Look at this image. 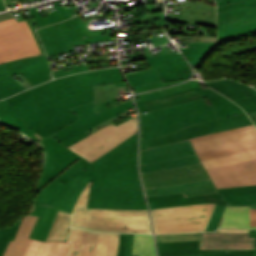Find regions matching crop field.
<instances>
[{
	"mask_svg": "<svg viewBox=\"0 0 256 256\" xmlns=\"http://www.w3.org/2000/svg\"><path fill=\"white\" fill-rule=\"evenodd\" d=\"M137 133L93 163L77 160L34 199L29 214L39 216L30 238L45 241L58 209L72 213L88 184L113 189H141L136 165Z\"/></svg>",
	"mask_w": 256,
	"mask_h": 256,
	"instance_id": "crop-field-1",
	"label": "crop field"
},
{
	"mask_svg": "<svg viewBox=\"0 0 256 256\" xmlns=\"http://www.w3.org/2000/svg\"><path fill=\"white\" fill-rule=\"evenodd\" d=\"M125 81L119 68L57 78L6 99L24 123L41 137L79 119L70 108L93 100L92 85Z\"/></svg>",
	"mask_w": 256,
	"mask_h": 256,
	"instance_id": "crop-field-2",
	"label": "crop field"
},
{
	"mask_svg": "<svg viewBox=\"0 0 256 256\" xmlns=\"http://www.w3.org/2000/svg\"><path fill=\"white\" fill-rule=\"evenodd\" d=\"M92 182L77 200L72 215L58 211L46 240H65L69 226L91 231L152 234L147 210L86 209Z\"/></svg>",
	"mask_w": 256,
	"mask_h": 256,
	"instance_id": "crop-field-3",
	"label": "crop field"
},
{
	"mask_svg": "<svg viewBox=\"0 0 256 256\" xmlns=\"http://www.w3.org/2000/svg\"><path fill=\"white\" fill-rule=\"evenodd\" d=\"M205 169L256 158L254 125L190 139Z\"/></svg>",
	"mask_w": 256,
	"mask_h": 256,
	"instance_id": "crop-field-4",
	"label": "crop field"
},
{
	"mask_svg": "<svg viewBox=\"0 0 256 256\" xmlns=\"http://www.w3.org/2000/svg\"><path fill=\"white\" fill-rule=\"evenodd\" d=\"M211 106L201 100L140 114L144 140L157 138L185 126L216 119Z\"/></svg>",
	"mask_w": 256,
	"mask_h": 256,
	"instance_id": "crop-field-5",
	"label": "crop field"
},
{
	"mask_svg": "<svg viewBox=\"0 0 256 256\" xmlns=\"http://www.w3.org/2000/svg\"><path fill=\"white\" fill-rule=\"evenodd\" d=\"M228 205L256 204V160L207 170Z\"/></svg>",
	"mask_w": 256,
	"mask_h": 256,
	"instance_id": "crop-field-6",
	"label": "crop field"
},
{
	"mask_svg": "<svg viewBox=\"0 0 256 256\" xmlns=\"http://www.w3.org/2000/svg\"><path fill=\"white\" fill-rule=\"evenodd\" d=\"M215 205L206 203L150 209L154 232L159 234L205 231Z\"/></svg>",
	"mask_w": 256,
	"mask_h": 256,
	"instance_id": "crop-field-7",
	"label": "crop field"
},
{
	"mask_svg": "<svg viewBox=\"0 0 256 256\" xmlns=\"http://www.w3.org/2000/svg\"><path fill=\"white\" fill-rule=\"evenodd\" d=\"M44 54L40 40L29 22L15 18L0 22V63Z\"/></svg>",
	"mask_w": 256,
	"mask_h": 256,
	"instance_id": "crop-field-8",
	"label": "crop field"
},
{
	"mask_svg": "<svg viewBox=\"0 0 256 256\" xmlns=\"http://www.w3.org/2000/svg\"><path fill=\"white\" fill-rule=\"evenodd\" d=\"M136 132L135 116L118 126L111 123L68 148L91 163Z\"/></svg>",
	"mask_w": 256,
	"mask_h": 256,
	"instance_id": "crop-field-9",
	"label": "crop field"
},
{
	"mask_svg": "<svg viewBox=\"0 0 256 256\" xmlns=\"http://www.w3.org/2000/svg\"><path fill=\"white\" fill-rule=\"evenodd\" d=\"M189 140L140 151V171L152 172L199 163Z\"/></svg>",
	"mask_w": 256,
	"mask_h": 256,
	"instance_id": "crop-field-10",
	"label": "crop field"
},
{
	"mask_svg": "<svg viewBox=\"0 0 256 256\" xmlns=\"http://www.w3.org/2000/svg\"><path fill=\"white\" fill-rule=\"evenodd\" d=\"M47 62V63H45ZM10 71V73H8ZM48 61L45 55L25 58L0 65V99L18 93L25 88L22 87L10 75L23 73L34 85L51 80Z\"/></svg>",
	"mask_w": 256,
	"mask_h": 256,
	"instance_id": "crop-field-11",
	"label": "crop field"
},
{
	"mask_svg": "<svg viewBox=\"0 0 256 256\" xmlns=\"http://www.w3.org/2000/svg\"><path fill=\"white\" fill-rule=\"evenodd\" d=\"M80 23V25H79ZM85 23L80 15L65 22L44 27L37 30V33L46 49L47 55H56L74 51L72 41L97 35L117 33V29L101 31L98 34H85L83 31ZM53 32V33H52Z\"/></svg>",
	"mask_w": 256,
	"mask_h": 256,
	"instance_id": "crop-field-12",
	"label": "crop field"
},
{
	"mask_svg": "<svg viewBox=\"0 0 256 256\" xmlns=\"http://www.w3.org/2000/svg\"><path fill=\"white\" fill-rule=\"evenodd\" d=\"M206 96L210 100L219 118L244 112L241 108H239L233 102L221 96L220 94L210 89L202 91L200 87L157 99L138 102L136 104L138 106L139 113H142L146 111L191 102L197 99L204 98Z\"/></svg>",
	"mask_w": 256,
	"mask_h": 256,
	"instance_id": "crop-field-13",
	"label": "crop field"
},
{
	"mask_svg": "<svg viewBox=\"0 0 256 256\" xmlns=\"http://www.w3.org/2000/svg\"><path fill=\"white\" fill-rule=\"evenodd\" d=\"M132 100L108 109L100 114H95L93 112V101L87 104L72 108V110L80 118L71 125L61 129L55 134L51 135L64 146H69L82 138L88 136L85 131L95 127L96 125L106 121L107 119L117 115L118 113L133 106ZM86 134H85V133Z\"/></svg>",
	"mask_w": 256,
	"mask_h": 256,
	"instance_id": "crop-field-14",
	"label": "crop field"
},
{
	"mask_svg": "<svg viewBox=\"0 0 256 256\" xmlns=\"http://www.w3.org/2000/svg\"><path fill=\"white\" fill-rule=\"evenodd\" d=\"M120 234L89 232L70 228L67 256H117Z\"/></svg>",
	"mask_w": 256,
	"mask_h": 256,
	"instance_id": "crop-field-15",
	"label": "crop field"
},
{
	"mask_svg": "<svg viewBox=\"0 0 256 256\" xmlns=\"http://www.w3.org/2000/svg\"><path fill=\"white\" fill-rule=\"evenodd\" d=\"M252 122L246 115V113L238 114L232 117H225L198 125L190 126L177 130L171 134L161 136L157 139L146 141L149 149L162 146L165 144L173 143L183 139L211 134L223 130H228L232 128L242 127L246 125H251Z\"/></svg>",
	"mask_w": 256,
	"mask_h": 256,
	"instance_id": "crop-field-16",
	"label": "crop field"
},
{
	"mask_svg": "<svg viewBox=\"0 0 256 256\" xmlns=\"http://www.w3.org/2000/svg\"><path fill=\"white\" fill-rule=\"evenodd\" d=\"M40 147L46 155L45 164L41 172L34 197L56 176L74 163L78 157L69 149L61 145L50 135L38 141Z\"/></svg>",
	"mask_w": 256,
	"mask_h": 256,
	"instance_id": "crop-field-17",
	"label": "crop field"
},
{
	"mask_svg": "<svg viewBox=\"0 0 256 256\" xmlns=\"http://www.w3.org/2000/svg\"><path fill=\"white\" fill-rule=\"evenodd\" d=\"M37 218L32 215L24 216L15 240L10 241L3 256H38L44 242L28 238ZM69 244L56 241L49 256H66Z\"/></svg>",
	"mask_w": 256,
	"mask_h": 256,
	"instance_id": "crop-field-18",
	"label": "crop field"
},
{
	"mask_svg": "<svg viewBox=\"0 0 256 256\" xmlns=\"http://www.w3.org/2000/svg\"><path fill=\"white\" fill-rule=\"evenodd\" d=\"M87 208L147 209L141 190H113L92 187Z\"/></svg>",
	"mask_w": 256,
	"mask_h": 256,
	"instance_id": "crop-field-19",
	"label": "crop field"
},
{
	"mask_svg": "<svg viewBox=\"0 0 256 256\" xmlns=\"http://www.w3.org/2000/svg\"><path fill=\"white\" fill-rule=\"evenodd\" d=\"M219 43L256 34V8H240L218 14Z\"/></svg>",
	"mask_w": 256,
	"mask_h": 256,
	"instance_id": "crop-field-20",
	"label": "crop field"
},
{
	"mask_svg": "<svg viewBox=\"0 0 256 256\" xmlns=\"http://www.w3.org/2000/svg\"><path fill=\"white\" fill-rule=\"evenodd\" d=\"M179 8V14H168V23L184 22L216 28L215 0H186V2L167 5Z\"/></svg>",
	"mask_w": 256,
	"mask_h": 256,
	"instance_id": "crop-field-21",
	"label": "crop field"
},
{
	"mask_svg": "<svg viewBox=\"0 0 256 256\" xmlns=\"http://www.w3.org/2000/svg\"><path fill=\"white\" fill-rule=\"evenodd\" d=\"M145 188L191 183L210 179L202 163L177 169L141 174Z\"/></svg>",
	"mask_w": 256,
	"mask_h": 256,
	"instance_id": "crop-field-22",
	"label": "crop field"
},
{
	"mask_svg": "<svg viewBox=\"0 0 256 256\" xmlns=\"http://www.w3.org/2000/svg\"><path fill=\"white\" fill-rule=\"evenodd\" d=\"M141 59H147L150 69L127 73L125 74L126 76L158 69L162 78V82H167V81L186 79V78H189L190 75L192 74L191 68L187 65V63L185 62L181 54L142 57V58L121 61V63L141 60Z\"/></svg>",
	"mask_w": 256,
	"mask_h": 256,
	"instance_id": "crop-field-23",
	"label": "crop field"
},
{
	"mask_svg": "<svg viewBox=\"0 0 256 256\" xmlns=\"http://www.w3.org/2000/svg\"><path fill=\"white\" fill-rule=\"evenodd\" d=\"M159 256H254V250H199V241L157 243Z\"/></svg>",
	"mask_w": 256,
	"mask_h": 256,
	"instance_id": "crop-field-24",
	"label": "crop field"
},
{
	"mask_svg": "<svg viewBox=\"0 0 256 256\" xmlns=\"http://www.w3.org/2000/svg\"><path fill=\"white\" fill-rule=\"evenodd\" d=\"M255 240L249 233H200V249H254Z\"/></svg>",
	"mask_w": 256,
	"mask_h": 256,
	"instance_id": "crop-field-25",
	"label": "crop field"
},
{
	"mask_svg": "<svg viewBox=\"0 0 256 256\" xmlns=\"http://www.w3.org/2000/svg\"><path fill=\"white\" fill-rule=\"evenodd\" d=\"M205 84L221 92L224 96L231 98L246 112L256 110V90L253 88L237 83L231 79H223Z\"/></svg>",
	"mask_w": 256,
	"mask_h": 256,
	"instance_id": "crop-field-26",
	"label": "crop field"
},
{
	"mask_svg": "<svg viewBox=\"0 0 256 256\" xmlns=\"http://www.w3.org/2000/svg\"><path fill=\"white\" fill-rule=\"evenodd\" d=\"M151 208H161L175 205H186V204H197V203H219L227 205V202L221 200L222 195L218 193L200 195L194 197L184 198L182 193L165 195V196H154L147 197Z\"/></svg>",
	"mask_w": 256,
	"mask_h": 256,
	"instance_id": "crop-field-27",
	"label": "crop field"
},
{
	"mask_svg": "<svg viewBox=\"0 0 256 256\" xmlns=\"http://www.w3.org/2000/svg\"><path fill=\"white\" fill-rule=\"evenodd\" d=\"M145 191L147 196L183 192L185 197L216 192L211 180H204L185 185L145 189Z\"/></svg>",
	"mask_w": 256,
	"mask_h": 256,
	"instance_id": "crop-field-28",
	"label": "crop field"
},
{
	"mask_svg": "<svg viewBox=\"0 0 256 256\" xmlns=\"http://www.w3.org/2000/svg\"><path fill=\"white\" fill-rule=\"evenodd\" d=\"M218 227H249V206H227Z\"/></svg>",
	"mask_w": 256,
	"mask_h": 256,
	"instance_id": "crop-field-29",
	"label": "crop field"
},
{
	"mask_svg": "<svg viewBox=\"0 0 256 256\" xmlns=\"http://www.w3.org/2000/svg\"><path fill=\"white\" fill-rule=\"evenodd\" d=\"M94 106L102 102L115 98L116 96L130 92L126 82H118L93 86Z\"/></svg>",
	"mask_w": 256,
	"mask_h": 256,
	"instance_id": "crop-field-30",
	"label": "crop field"
},
{
	"mask_svg": "<svg viewBox=\"0 0 256 256\" xmlns=\"http://www.w3.org/2000/svg\"><path fill=\"white\" fill-rule=\"evenodd\" d=\"M54 4V6L56 7L57 10L49 12V13H45L47 17L41 18L36 7H32L30 8L33 16L35 17L39 27L41 26H45L54 22H58L64 19H68L73 17L72 15H76L75 11L70 8H65L62 7L61 4L59 3V1H53L52 2Z\"/></svg>",
	"mask_w": 256,
	"mask_h": 256,
	"instance_id": "crop-field-31",
	"label": "crop field"
},
{
	"mask_svg": "<svg viewBox=\"0 0 256 256\" xmlns=\"http://www.w3.org/2000/svg\"><path fill=\"white\" fill-rule=\"evenodd\" d=\"M0 121L3 125L9 126L29 136L35 132L31 131L5 100L0 101Z\"/></svg>",
	"mask_w": 256,
	"mask_h": 256,
	"instance_id": "crop-field-32",
	"label": "crop field"
},
{
	"mask_svg": "<svg viewBox=\"0 0 256 256\" xmlns=\"http://www.w3.org/2000/svg\"><path fill=\"white\" fill-rule=\"evenodd\" d=\"M216 45L217 43H190V47L182 49L181 51L191 65H198L206 54Z\"/></svg>",
	"mask_w": 256,
	"mask_h": 256,
	"instance_id": "crop-field-33",
	"label": "crop field"
},
{
	"mask_svg": "<svg viewBox=\"0 0 256 256\" xmlns=\"http://www.w3.org/2000/svg\"><path fill=\"white\" fill-rule=\"evenodd\" d=\"M132 255L155 256L152 235L134 234Z\"/></svg>",
	"mask_w": 256,
	"mask_h": 256,
	"instance_id": "crop-field-34",
	"label": "crop field"
},
{
	"mask_svg": "<svg viewBox=\"0 0 256 256\" xmlns=\"http://www.w3.org/2000/svg\"><path fill=\"white\" fill-rule=\"evenodd\" d=\"M143 6L146 16L141 18L140 27L164 24V8L155 7L151 4H145Z\"/></svg>",
	"mask_w": 256,
	"mask_h": 256,
	"instance_id": "crop-field-35",
	"label": "crop field"
},
{
	"mask_svg": "<svg viewBox=\"0 0 256 256\" xmlns=\"http://www.w3.org/2000/svg\"><path fill=\"white\" fill-rule=\"evenodd\" d=\"M127 79L129 81L131 87L148 84V83H152V82L161 80L157 70L139 74V75L128 76Z\"/></svg>",
	"mask_w": 256,
	"mask_h": 256,
	"instance_id": "crop-field-36",
	"label": "crop field"
},
{
	"mask_svg": "<svg viewBox=\"0 0 256 256\" xmlns=\"http://www.w3.org/2000/svg\"><path fill=\"white\" fill-rule=\"evenodd\" d=\"M23 216L19 219V221L16 224L7 228L0 229V256H2L9 241L14 239L16 231Z\"/></svg>",
	"mask_w": 256,
	"mask_h": 256,
	"instance_id": "crop-field-37",
	"label": "crop field"
},
{
	"mask_svg": "<svg viewBox=\"0 0 256 256\" xmlns=\"http://www.w3.org/2000/svg\"><path fill=\"white\" fill-rule=\"evenodd\" d=\"M156 241L199 240V233L156 235Z\"/></svg>",
	"mask_w": 256,
	"mask_h": 256,
	"instance_id": "crop-field-38",
	"label": "crop field"
},
{
	"mask_svg": "<svg viewBox=\"0 0 256 256\" xmlns=\"http://www.w3.org/2000/svg\"><path fill=\"white\" fill-rule=\"evenodd\" d=\"M133 234H121L118 256H131Z\"/></svg>",
	"mask_w": 256,
	"mask_h": 256,
	"instance_id": "crop-field-39",
	"label": "crop field"
},
{
	"mask_svg": "<svg viewBox=\"0 0 256 256\" xmlns=\"http://www.w3.org/2000/svg\"><path fill=\"white\" fill-rule=\"evenodd\" d=\"M226 206L217 204L206 231H215Z\"/></svg>",
	"mask_w": 256,
	"mask_h": 256,
	"instance_id": "crop-field-40",
	"label": "crop field"
},
{
	"mask_svg": "<svg viewBox=\"0 0 256 256\" xmlns=\"http://www.w3.org/2000/svg\"><path fill=\"white\" fill-rule=\"evenodd\" d=\"M177 37L181 43H184V42H217L216 37H212V36L179 35Z\"/></svg>",
	"mask_w": 256,
	"mask_h": 256,
	"instance_id": "crop-field-41",
	"label": "crop field"
},
{
	"mask_svg": "<svg viewBox=\"0 0 256 256\" xmlns=\"http://www.w3.org/2000/svg\"><path fill=\"white\" fill-rule=\"evenodd\" d=\"M88 70H89V66H88V64H85V65H81V66H76V67H72V68H68V69L55 71V72H53V75H54V78H57L59 76L69 75V74H73V73H77V72H81V71H88Z\"/></svg>",
	"mask_w": 256,
	"mask_h": 256,
	"instance_id": "crop-field-42",
	"label": "crop field"
},
{
	"mask_svg": "<svg viewBox=\"0 0 256 256\" xmlns=\"http://www.w3.org/2000/svg\"><path fill=\"white\" fill-rule=\"evenodd\" d=\"M239 7H256V1L232 3V4H229V5L218 7L217 11H218V13H220V12H223V11H226V10H230V9H234V8H239Z\"/></svg>",
	"mask_w": 256,
	"mask_h": 256,
	"instance_id": "crop-field-43",
	"label": "crop field"
},
{
	"mask_svg": "<svg viewBox=\"0 0 256 256\" xmlns=\"http://www.w3.org/2000/svg\"><path fill=\"white\" fill-rule=\"evenodd\" d=\"M108 40H113V38L110 37V35L98 36V37H89V38H85L84 40H81V41H75V42H73V44H74V46H76V45L85 44V43L108 41Z\"/></svg>",
	"mask_w": 256,
	"mask_h": 256,
	"instance_id": "crop-field-44",
	"label": "crop field"
},
{
	"mask_svg": "<svg viewBox=\"0 0 256 256\" xmlns=\"http://www.w3.org/2000/svg\"><path fill=\"white\" fill-rule=\"evenodd\" d=\"M119 102L117 100V98L113 99V100H110L108 102H105V103H102L100 105H97L94 107V112H96L97 114L108 109V108H111L115 105H118Z\"/></svg>",
	"mask_w": 256,
	"mask_h": 256,
	"instance_id": "crop-field-45",
	"label": "crop field"
},
{
	"mask_svg": "<svg viewBox=\"0 0 256 256\" xmlns=\"http://www.w3.org/2000/svg\"><path fill=\"white\" fill-rule=\"evenodd\" d=\"M55 241L45 242L39 256H48Z\"/></svg>",
	"mask_w": 256,
	"mask_h": 256,
	"instance_id": "crop-field-46",
	"label": "crop field"
},
{
	"mask_svg": "<svg viewBox=\"0 0 256 256\" xmlns=\"http://www.w3.org/2000/svg\"><path fill=\"white\" fill-rule=\"evenodd\" d=\"M250 226H256V210H250Z\"/></svg>",
	"mask_w": 256,
	"mask_h": 256,
	"instance_id": "crop-field-47",
	"label": "crop field"
},
{
	"mask_svg": "<svg viewBox=\"0 0 256 256\" xmlns=\"http://www.w3.org/2000/svg\"><path fill=\"white\" fill-rule=\"evenodd\" d=\"M216 1H217V7H218V6H222L235 1H247V0H216Z\"/></svg>",
	"mask_w": 256,
	"mask_h": 256,
	"instance_id": "crop-field-48",
	"label": "crop field"
},
{
	"mask_svg": "<svg viewBox=\"0 0 256 256\" xmlns=\"http://www.w3.org/2000/svg\"><path fill=\"white\" fill-rule=\"evenodd\" d=\"M12 17H13V15L11 14V12L0 14V21L8 19V18H12Z\"/></svg>",
	"mask_w": 256,
	"mask_h": 256,
	"instance_id": "crop-field-49",
	"label": "crop field"
},
{
	"mask_svg": "<svg viewBox=\"0 0 256 256\" xmlns=\"http://www.w3.org/2000/svg\"><path fill=\"white\" fill-rule=\"evenodd\" d=\"M217 231L249 232V230L242 229H218Z\"/></svg>",
	"mask_w": 256,
	"mask_h": 256,
	"instance_id": "crop-field-50",
	"label": "crop field"
},
{
	"mask_svg": "<svg viewBox=\"0 0 256 256\" xmlns=\"http://www.w3.org/2000/svg\"><path fill=\"white\" fill-rule=\"evenodd\" d=\"M248 115L250 116V118L252 119L254 124H256V111L255 112H249Z\"/></svg>",
	"mask_w": 256,
	"mask_h": 256,
	"instance_id": "crop-field-51",
	"label": "crop field"
},
{
	"mask_svg": "<svg viewBox=\"0 0 256 256\" xmlns=\"http://www.w3.org/2000/svg\"><path fill=\"white\" fill-rule=\"evenodd\" d=\"M144 149H148V147L146 146L145 142L143 141V139L141 137L140 150H144Z\"/></svg>",
	"mask_w": 256,
	"mask_h": 256,
	"instance_id": "crop-field-52",
	"label": "crop field"
},
{
	"mask_svg": "<svg viewBox=\"0 0 256 256\" xmlns=\"http://www.w3.org/2000/svg\"><path fill=\"white\" fill-rule=\"evenodd\" d=\"M250 237H256V230H250ZM255 255H256V246H255Z\"/></svg>",
	"mask_w": 256,
	"mask_h": 256,
	"instance_id": "crop-field-53",
	"label": "crop field"
},
{
	"mask_svg": "<svg viewBox=\"0 0 256 256\" xmlns=\"http://www.w3.org/2000/svg\"><path fill=\"white\" fill-rule=\"evenodd\" d=\"M4 9H6V6H5L3 0H0V10H4Z\"/></svg>",
	"mask_w": 256,
	"mask_h": 256,
	"instance_id": "crop-field-54",
	"label": "crop field"
},
{
	"mask_svg": "<svg viewBox=\"0 0 256 256\" xmlns=\"http://www.w3.org/2000/svg\"><path fill=\"white\" fill-rule=\"evenodd\" d=\"M101 56V54H99V55H92V56H86V57H84L85 59H89V58H96V57H100ZM105 56H107V55H105Z\"/></svg>",
	"mask_w": 256,
	"mask_h": 256,
	"instance_id": "crop-field-55",
	"label": "crop field"
},
{
	"mask_svg": "<svg viewBox=\"0 0 256 256\" xmlns=\"http://www.w3.org/2000/svg\"><path fill=\"white\" fill-rule=\"evenodd\" d=\"M250 209H256V206H250Z\"/></svg>",
	"mask_w": 256,
	"mask_h": 256,
	"instance_id": "crop-field-56",
	"label": "crop field"
},
{
	"mask_svg": "<svg viewBox=\"0 0 256 256\" xmlns=\"http://www.w3.org/2000/svg\"><path fill=\"white\" fill-rule=\"evenodd\" d=\"M194 68V66H192ZM195 69V68H194Z\"/></svg>",
	"mask_w": 256,
	"mask_h": 256,
	"instance_id": "crop-field-57",
	"label": "crop field"
}]
</instances>
